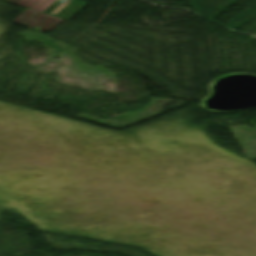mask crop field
I'll return each mask as SVG.
<instances>
[{"mask_svg": "<svg viewBox=\"0 0 256 256\" xmlns=\"http://www.w3.org/2000/svg\"><path fill=\"white\" fill-rule=\"evenodd\" d=\"M53 1L54 0H5V2L29 8L27 10H24L19 16H17L13 20V22L25 27H27L26 25L29 24L27 28L30 29H32L34 26H38L34 29V31H37L39 33L44 30L50 32L56 25H58L62 21V19L41 13Z\"/></svg>", "mask_w": 256, "mask_h": 256, "instance_id": "obj_1", "label": "crop field"}]
</instances>
